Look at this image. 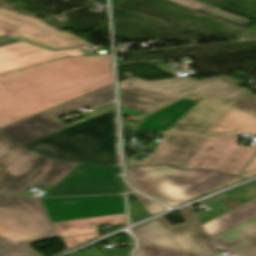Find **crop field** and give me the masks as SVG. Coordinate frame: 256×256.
<instances>
[{
  "mask_svg": "<svg viewBox=\"0 0 256 256\" xmlns=\"http://www.w3.org/2000/svg\"><path fill=\"white\" fill-rule=\"evenodd\" d=\"M98 233L62 238L67 250L98 237Z\"/></svg>",
  "mask_w": 256,
  "mask_h": 256,
  "instance_id": "obj_23",
  "label": "crop field"
},
{
  "mask_svg": "<svg viewBox=\"0 0 256 256\" xmlns=\"http://www.w3.org/2000/svg\"><path fill=\"white\" fill-rule=\"evenodd\" d=\"M195 104H197V102L183 99L154 113L136 128L164 131Z\"/></svg>",
  "mask_w": 256,
  "mask_h": 256,
  "instance_id": "obj_20",
  "label": "crop field"
},
{
  "mask_svg": "<svg viewBox=\"0 0 256 256\" xmlns=\"http://www.w3.org/2000/svg\"><path fill=\"white\" fill-rule=\"evenodd\" d=\"M54 237L40 199L0 195V256H39L28 244Z\"/></svg>",
  "mask_w": 256,
  "mask_h": 256,
  "instance_id": "obj_4",
  "label": "crop field"
},
{
  "mask_svg": "<svg viewBox=\"0 0 256 256\" xmlns=\"http://www.w3.org/2000/svg\"><path fill=\"white\" fill-rule=\"evenodd\" d=\"M20 147L52 159L120 167L115 109Z\"/></svg>",
  "mask_w": 256,
  "mask_h": 256,
  "instance_id": "obj_2",
  "label": "crop field"
},
{
  "mask_svg": "<svg viewBox=\"0 0 256 256\" xmlns=\"http://www.w3.org/2000/svg\"><path fill=\"white\" fill-rule=\"evenodd\" d=\"M179 212L185 223L171 225L164 216L156 221L188 256L217 253L190 207L179 209Z\"/></svg>",
  "mask_w": 256,
  "mask_h": 256,
  "instance_id": "obj_14",
  "label": "crop field"
},
{
  "mask_svg": "<svg viewBox=\"0 0 256 256\" xmlns=\"http://www.w3.org/2000/svg\"><path fill=\"white\" fill-rule=\"evenodd\" d=\"M240 180H243V179L237 178V179H235V180H233V181H231V182H229V183H227V184H225V185H223V186H221V187H219V188H217V189H215V190H218V189H220V188H223V187H225V186H227V185H230V184H232V183L238 182V181H240ZM215 190H212V191H210V192H213V191H215ZM210 192H208V193H210ZM208 193H206V194H208Z\"/></svg>",
  "mask_w": 256,
  "mask_h": 256,
  "instance_id": "obj_28",
  "label": "crop field"
},
{
  "mask_svg": "<svg viewBox=\"0 0 256 256\" xmlns=\"http://www.w3.org/2000/svg\"><path fill=\"white\" fill-rule=\"evenodd\" d=\"M230 108L202 99L165 132L210 135Z\"/></svg>",
  "mask_w": 256,
  "mask_h": 256,
  "instance_id": "obj_15",
  "label": "crop field"
},
{
  "mask_svg": "<svg viewBox=\"0 0 256 256\" xmlns=\"http://www.w3.org/2000/svg\"><path fill=\"white\" fill-rule=\"evenodd\" d=\"M86 55L80 48L50 51L15 39L0 42V73L56 60Z\"/></svg>",
  "mask_w": 256,
  "mask_h": 256,
  "instance_id": "obj_13",
  "label": "crop field"
},
{
  "mask_svg": "<svg viewBox=\"0 0 256 256\" xmlns=\"http://www.w3.org/2000/svg\"><path fill=\"white\" fill-rule=\"evenodd\" d=\"M79 163L51 161L17 148L0 135V193L17 195L29 184L54 186Z\"/></svg>",
  "mask_w": 256,
  "mask_h": 256,
  "instance_id": "obj_6",
  "label": "crop field"
},
{
  "mask_svg": "<svg viewBox=\"0 0 256 256\" xmlns=\"http://www.w3.org/2000/svg\"><path fill=\"white\" fill-rule=\"evenodd\" d=\"M133 195L141 202V204L145 207V209L149 212L150 215L155 214V213L160 212L165 209L161 205H159V204H157L139 194H133Z\"/></svg>",
  "mask_w": 256,
  "mask_h": 256,
  "instance_id": "obj_25",
  "label": "crop field"
},
{
  "mask_svg": "<svg viewBox=\"0 0 256 256\" xmlns=\"http://www.w3.org/2000/svg\"><path fill=\"white\" fill-rule=\"evenodd\" d=\"M211 240L217 250L231 253L221 256H256V216L211 237Z\"/></svg>",
  "mask_w": 256,
  "mask_h": 256,
  "instance_id": "obj_16",
  "label": "crop field"
},
{
  "mask_svg": "<svg viewBox=\"0 0 256 256\" xmlns=\"http://www.w3.org/2000/svg\"><path fill=\"white\" fill-rule=\"evenodd\" d=\"M130 216L133 220H139L149 216V214L140 203H137L130 205Z\"/></svg>",
  "mask_w": 256,
  "mask_h": 256,
  "instance_id": "obj_26",
  "label": "crop field"
},
{
  "mask_svg": "<svg viewBox=\"0 0 256 256\" xmlns=\"http://www.w3.org/2000/svg\"><path fill=\"white\" fill-rule=\"evenodd\" d=\"M256 215V198L202 225L209 237Z\"/></svg>",
  "mask_w": 256,
  "mask_h": 256,
  "instance_id": "obj_21",
  "label": "crop field"
},
{
  "mask_svg": "<svg viewBox=\"0 0 256 256\" xmlns=\"http://www.w3.org/2000/svg\"><path fill=\"white\" fill-rule=\"evenodd\" d=\"M113 99L114 89L112 85L79 99H76L74 101H71L62 106H59L57 108L14 123L10 126L0 129V131L12 143L19 146L64 129L62 126L55 123L51 119L83 107L85 105L93 108Z\"/></svg>",
  "mask_w": 256,
  "mask_h": 256,
  "instance_id": "obj_8",
  "label": "crop field"
},
{
  "mask_svg": "<svg viewBox=\"0 0 256 256\" xmlns=\"http://www.w3.org/2000/svg\"><path fill=\"white\" fill-rule=\"evenodd\" d=\"M110 223L111 226L125 223L124 213L88 219L52 223L58 237L95 233L96 224Z\"/></svg>",
  "mask_w": 256,
  "mask_h": 256,
  "instance_id": "obj_18",
  "label": "crop field"
},
{
  "mask_svg": "<svg viewBox=\"0 0 256 256\" xmlns=\"http://www.w3.org/2000/svg\"><path fill=\"white\" fill-rule=\"evenodd\" d=\"M111 84L110 54L68 57L0 74V128Z\"/></svg>",
  "mask_w": 256,
  "mask_h": 256,
  "instance_id": "obj_1",
  "label": "crop field"
},
{
  "mask_svg": "<svg viewBox=\"0 0 256 256\" xmlns=\"http://www.w3.org/2000/svg\"><path fill=\"white\" fill-rule=\"evenodd\" d=\"M127 177L135 188L175 206L235 176L209 170L182 171L160 165L128 168Z\"/></svg>",
  "mask_w": 256,
  "mask_h": 256,
  "instance_id": "obj_5",
  "label": "crop field"
},
{
  "mask_svg": "<svg viewBox=\"0 0 256 256\" xmlns=\"http://www.w3.org/2000/svg\"><path fill=\"white\" fill-rule=\"evenodd\" d=\"M134 233L141 243L135 256H187L155 220L134 229Z\"/></svg>",
  "mask_w": 256,
  "mask_h": 256,
  "instance_id": "obj_17",
  "label": "crop field"
},
{
  "mask_svg": "<svg viewBox=\"0 0 256 256\" xmlns=\"http://www.w3.org/2000/svg\"><path fill=\"white\" fill-rule=\"evenodd\" d=\"M254 182H256V181H254Z\"/></svg>",
  "mask_w": 256,
  "mask_h": 256,
  "instance_id": "obj_29",
  "label": "crop field"
},
{
  "mask_svg": "<svg viewBox=\"0 0 256 256\" xmlns=\"http://www.w3.org/2000/svg\"><path fill=\"white\" fill-rule=\"evenodd\" d=\"M171 1L182 4V5L190 7V8H193L195 10L204 12V13L212 15L214 17L223 19L225 21L234 23V24L239 25V26H244V25L250 23V22H248V21H246L242 18H239V17H236L234 15L222 12L220 10L208 7L206 5L194 2L192 0H171Z\"/></svg>",
  "mask_w": 256,
  "mask_h": 256,
  "instance_id": "obj_22",
  "label": "crop field"
},
{
  "mask_svg": "<svg viewBox=\"0 0 256 256\" xmlns=\"http://www.w3.org/2000/svg\"><path fill=\"white\" fill-rule=\"evenodd\" d=\"M256 175V154L240 174V177L247 179Z\"/></svg>",
  "mask_w": 256,
  "mask_h": 256,
  "instance_id": "obj_27",
  "label": "crop field"
},
{
  "mask_svg": "<svg viewBox=\"0 0 256 256\" xmlns=\"http://www.w3.org/2000/svg\"><path fill=\"white\" fill-rule=\"evenodd\" d=\"M11 38L50 50L92 46L79 37L59 32L34 17L0 8V41Z\"/></svg>",
  "mask_w": 256,
  "mask_h": 256,
  "instance_id": "obj_7",
  "label": "crop field"
},
{
  "mask_svg": "<svg viewBox=\"0 0 256 256\" xmlns=\"http://www.w3.org/2000/svg\"><path fill=\"white\" fill-rule=\"evenodd\" d=\"M255 151L256 145H235L232 139L209 137L184 169H209L238 176Z\"/></svg>",
  "mask_w": 256,
  "mask_h": 256,
  "instance_id": "obj_10",
  "label": "crop field"
},
{
  "mask_svg": "<svg viewBox=\"0 0 256 256\" xmlns=\"http://www.w3.org/2000/svg\"><path fill=\"white\" fill-rule=\"evenodd\" d=\"M231 106L256 114V94Z\"/></svg>",
  "mask_w": 256,
  "mask_h": 256,
  "instance_id": "obj_24",
  "label": "crop field"
},
{
  "mask_svg": "<svg viewBox=\"0 0 256 256\" xmlns=\"http://www.w3.org/2000/svg\"><path fill=\"white\" fill-rule=\"evenodd\" d=\"M207 138L208 136L164 133L150 157L142 161L132 159L126 167L168 164L183 169Z\"/></svg>",
  "mask_w": 256,
  "mask_h": 256,
  "instance_id": "obj_12",
  "label": "crop field"
},
{
  "mask_svg": "<svg viewBox=\"0 0 256 256\" xmlns=\"http://www.w3.org/2000/svg\"><path fill=\"white\" fill-rule=\"evenodd\" d=\"M120 168L80 163L43 196L122 193Z\"/></svg>",
  "mask_w": 256,
  "mask_h": 256,
  "instance_id": "obj_9",
  "label": "crop field"
},
{
  "mask_svg": "<svg viewBox=\"0 0 256 256\" xmlns=\"http://www.w3.org/2000/svg\"><path fill=\"white\" fill-rule=\"evenodd\" d=\"M41 200L52 222L124 212L122 195Z\"/></svg>",
  "mask_w": 256,
  "mask_h": 256,
  "instance_id": "obj_11",
  "label": "crop field"
},
{
  "mask_svg": "<svg viewBox=\"0 0 256 256\" xmlns=\"http://www.w3.org/2000/svg\"><path fill=\"white\" fill-rule=\"evenodd\" d=\"M242 133L256 134V116L231 109L211 135L232 137Z\"/></svg>",
  "mask_w": 256,
  "mask_h": 256,
  "instance_id": "obj_19",
  "label": "crop field"
},
{
  "mask_svg": "<svg viewBox=\"0 0 256 256\" xmlns=\"http://www.w3.org/2000/svg\"><path fill=\"white\" fill-rule=\"evenodd\" d=\"M120 106L152 112L189 93L228 105L252 92L214 77L195 82L191 77L145 81L130 78L119 83Z\"/></svg>",
  "mask_w": 256,
  "mask_h": 256,
  "instance_id": "obj_3",
  "label": "crop field"
}]
</instances>
